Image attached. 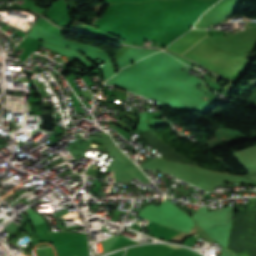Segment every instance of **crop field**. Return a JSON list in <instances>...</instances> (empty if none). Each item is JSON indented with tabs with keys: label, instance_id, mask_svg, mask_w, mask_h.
<instances>
[{
	"label": "crop field",
	"instance_id": "1",
	"mask_svg": "<svg viewBox=\"0 0 256 256\" xmlns=\"http://www.w3.org/2000/svg\"><path fill=\"white\" fill-rule=\"evenodd\" d=\"M241 165L249 172L256 171V145L233 153Z\"/></svg>",
	"mask_w": 256,
	"mask_h": 256
},
{
	"label": "crop field",
	"instance_id": "2",
	"mask_svg": "<svg viewBox=\"0 0 256 256\" xmlns=\"http://www.w3.org/2000/svg\"><path fill=\"white\" fill-rule=\"evenodd\" d=\"M204 38H205V37H204ZM200 41H201V40H200ZM196 44H197V43H196ZM193 46H194V45H193ZM193 46H192V47H193ZM189 49H190V48H189ZM189 49H188V50H189ZM185 52H186V51H185ZM185 52H184V53H185ZM181 55H182V54H181Z\"/></svg>",
	"mask_w": 256,
	"mask_h": 256
}]
</instances>
